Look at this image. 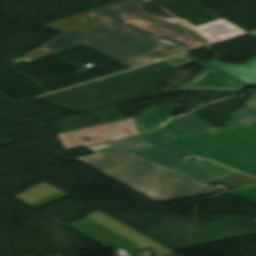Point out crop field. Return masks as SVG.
Returning a JSON list of instances; mask_svg holds the SVG:
<instances>
[{"instance_id":"obj_1","label":"crop field","mask_w":256,"mask_h":256,"mask_svg":"<svg viewBox=\"0 0 256 256\" xmlns=\"http://www.w3.org/2000/svg\"><path fill=\"white\" fill-rule=\"evenodd\" d=\"M150 0H128L112 6L91 11V15L79 20L52 27L58 23L80 16L48 24V27L64 31L76 28L96 19L100 21L89 24L78 31L86 32L102 24L110 22L130 33L161 41L184 51L218 42L242 33L244 31L220 20L200 27L180 19L156 18L142 10V4ZM160 42V43H161Z\"/></svg>"},{"instance_id":"obj_2","label":"crop field","mask_w":256,"mask_h":256,"mask_svg":"<svg viewBox=\"0 0 256 256\" xmlns=\"http://www.w3.org/2000/svg\"><path fill=\"white\" fill-rule=\"evenodd\" d=\"M80 160L158 203L219 191L124 151Z\"/></svg>"},{"instance_id":"obj_3","label":"crop field","mask_w":256,"mask_h":256,"mask_svg":"<svg viewBox=\"0 0 256 256\" xmlns=\"http://www.w3.org/2000/svg\"><path fill=\"white\" fill-rule=\"evenodd\" d=\"M81 43L130 67L184 52L173 46L130 34L109 23L86 33L67 29L43 46L56 53Z\"/></svg>"},{"instance_id":"obj_4","label":"crop field","mask_w":256,"mask_h":256,"mask_svg":"<svg viewBox=\"0 0 256 256\" xmlns=\"http://www.w3.org/2000/svg\"><path fill=\"white\" fill-rule=\"evenodd\" d=\"M163 141L256 177V127L250 123Z\"/></svg>"},{"instance_id":"obj_5","label":"crop field","mask_w":256,"mask_h":256,"mask_svg":"<svg viewBox=\"0 0 256 256\" xmlns=\"http://www.w3.org/2000/svg\"><path fill=\"white\" fill-rule=\"evenodd\" d=\"M129 153L170 168L207 184L213 183L236 171L214 164L205 159H195L185 163L179 159L181 155L169 152L167 150L146 145L138 148L125 150Z\"/></svg>"},{"instance_id":"obj_6","label":"crop field","mask_w":256,"mask_h":256,"mask_svg":"<svg viewBox=\"0 0 256 256\" xmlns=\"http://www.w3.org/2000/svg\"><path fill=\"white\" fill-rule=\"evenodd\" d=\"M178 67L189 63H196L204 68L193 78L185 82L177 91H224V92H240L246 86H256L254 84H243L230 75L210 67L186 54L174 58L163 60Z\"/></svg>"},{"instance_id":"obj_7","label":"crop field","mask_w":256,"mask_h":256,"mask_svg":"<svg viewBox=\"0 0 256 256\" xmlns=\"http://www.w3.org/2000/svg\"><path fill=\"white\" fill-rule=\"evenodd\" d=\"M182 106L172 102L160 107L152 106L135 116L136 129L140 133L163 130L176 137L190 134L185 130L172 114Z\"/></svg>"},{"instance_id":"obj_8","label":"crop field","mask_w":256,"mask_h":256,"mask_svg":"<svg viewBox=\"0 0 256 256\" xmlns=\"http://www.w3.org/2000/svg\"><path fill=\"white\" fill-rule=\"evenodd\" d=\"M169 138H175V137L172 135H169L163 131H158V132H152V133L131 136V137H127V138H122V139H118V140L108 141V142L99 143V144H95V145H90V146H86V148L95 154H99V153H105V152H110V151H116V150H120L123 148L131 147V146L151 143V144L158 145V146H161V147L173 150V151H177V152L186 154L188 156L194 155L192 153H189L187 151H184L182 149H179L177 147H174L172 145H169L167 143L160 141V140L169 139ZM104 144H107L110 147L95 149V150H92L90 148L93 146L104 145Z\"/></svg>"},{"instance_id":"obj_9","label":"crop field","mask_w":256,"mask_h":256,"mask_svg":"<svg viewBox=\"0 0 256 256\" xmlns=\"http://www.w3.org/2000/svg\"><path fill=\"white\" fill-rule=\"evenodd\" d=\"M68 225L102 244L105 242H109L114 246L130 250L129 240L119 236L118 234L110 231L109 229L99 225L98 223L88 218Z\"/></svg>"},{"instance_id":"obj_10","label":"crop field","mask_w":256,"mask_h":256,"mask_svg":"<svg viewBox=\"0 0 256 256\" xmlns=\"http://www.w3.org/2000/svg\"><path fill=\"white\" fill-rule=\"evenodd\" d=\"M256 37L255 34H251ZM215 68H218L228 74H230L233 78L243 82V83H255L256 84V58L252 59L246 65H228L219 61H214L210 64Z\"/></svg>"},{"instance_id":"obj_11","label":"crop field","mask_w":256,"mask_h":256,"mask_svg":"<svg viewBox=\"0 0 256 256\" xmlns=\"http://www.w3.org/2000/svg\"><path fill=\"white\" fill-rule=\"evenodd\" d=\"M241 108L231 113V119L223 122L228 126L256 121V94L246 100Z\"/></svg>"},{"instance_id":"obj_12","label":"crop field","mask_w":256,"mask_h":256,"mask_svg":"<svg viewBox=\"0 0 256 256\" xmlns=\"http://www.w3.org/2000/svg\"><path fill=\"white\" fill-rule=\"evenodd\" d=\"M180 124L187 129L191 134L192 133H197V132H202L209 130L211 127L210 124L199 118L193 113H190L180 119H178Z\"/></svg>"},{"instance_id":"obj_13","label":"crop field","mask_w":256,"mask_h":256,"mask_svg":"<svg viewBox=\"0 0 256 256\" xmlns=\"http://www.w3.org/2000/svg\"><path fill=\"white\" fill-rule=\"evenodd\" d=\"M239 176L244 177V178H241ZM226 179H228L229 181H227ZM231 181H234V183ZM217 182L223 183V184L231 186L233 188H237V187H244V186L256 184V179L252 178L250 176H247L245 174H242L240 172H236V173H234L228 177H225ZM235 182L240 183L242 185H239Z\"/></svg>"},{"instance_id":"obj_14","label":"crop field","mask_w":256,"mask_h":256,"mask_svg":"<svg viewBox=\"0 0 256 256\" xmlns=\"http://www.w3.org/2000/svg\"><path fill=\"white\" fill-rule=\"evenodd\" d=\"M226 193L256 205V186L241 188Z\"/></svg>"},{"instance_id":"obj_15","label":"crop field","mask_w":256,"mask_h":256,"mask_svg":"<svg viewBox=\"0 0 256 256\" xmlns=\"http://www.w3.org/2000/svg\"><path fill=\"white\" fill-rule=\"evenodd\" d=\"M41 48H43V46L42 47H40L39 49H37L36 51H34L33 53H31V54H29L28 56H26L25 58H23L27 63H29V62H31V61H34V60H37V59H39V57L38 56H40V55H42V54H45V53H48L47 55H50V54H52V52L51 51H49L48 49H46L45 47V49L44 50H42L40 53H38L37 55H35L34 57H32L30 60H26L28 57H30L31 55H33V54H35L37 51H39ZM47 55H45V56H47ZM45 56H43V57H45ZM42 58V57H41Z\"/></svg>"},{"instance_id":"obj_16","label":"crop field","mask_w":256,"mask_h":256,"mask_svg":"<svg viewBox=\"0 0 256 256\" xmlns=\"http://www.w3.org/2000/svg\"><path fill=\"white\" fill-rule=\"evenodd\" d=\"M68 196H70V195L67 194V193H65V194H63V195H60V196L55 197V198H52V199H50V200H47V201L42 202V203H40V204L34 205V206H32V207L35 208V209H37V208H39V207H42V206L47 205V204H50V203H52V202H55V201H57V200H60V199H62V198L68 197Z\"/></svg>"},{"instance_id":"obj_17","label":"crop field","mask_w":256,"mask_h":256,"mask_svg":"<svg viewBox=\"0 0 256 256\" xmlns=\"http://www.w3.org/2000/svg\"><path fill=\"white\" fill-rule=\"evenodd\" d=\"M253 124H255V125H256V122H253Z\"/></svg>"}]
</instances>
